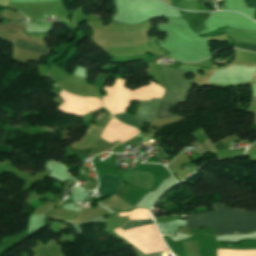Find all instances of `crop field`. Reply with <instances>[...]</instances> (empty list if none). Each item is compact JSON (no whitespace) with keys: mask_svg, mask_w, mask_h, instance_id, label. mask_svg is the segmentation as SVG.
<instances>
[{"mask_svg":"<svg viewBox=\"0 0 256 256\" xmlns=\"http://www.w3.org/2000/svg\"><path fill=\"white\" fill-rule=\"evenodd\" d=\"M214 208L216 211L213 212H198L187 215V225L189 229L223 226L252 214V212L226 208L220 204H215Z\"/></svg>","mask_w":256,"mask_h":256,"instance_id":"1","label":"crop field"},{"mask_svg":"<svg viewBox=\"0 0 256 256\" xmlns=\"http://www.w3.org/2000/svg\"><path fill=\"white\" fill-rule=\"evenodd\" d=\"M167 77L168 89L163 101L184 102L191 85V80H185L184 75L189 73L176 69H166L163 67Z\"/></svg>","mask_w":256,"mask_h":256,"instance_id":"2","label":"crop field"},{"mask_svg":"<svg viewBox=\"0 0 256 256\" xmlns=\"http://www.w3.org/2000/svg\"><path fill=\"white\" fill-rule=\"evenodd\" d=\"M256 231V213L223 227L215 228V235L250 234Z\"/></svg>","mask_w":256,"mask_h":256,"instance_id":"3","label":"crop field"},{"mask_svg":"<svg viewBox=\"0 0 256 256\" xmlns=\"http://www.w3.org/2000/svg\"><path fill=\"white\" fill-rule=\"evenodd\" d=\"M159 99H153L152 101L140 102V106L136 111V116H134L139 123L142 125L144 121H152L159 105Z\"/></svg>","mask_w":256,"mask_h":256,"instance_id":"4","label":"crop field"},{"mask_svg":"<svg viewBox=\"0 0 256 256\" xmlns=\"http://www.w3.org/2000/svg\"><path fill=\"white\" fill-rule=\"evenodd\" d=\"M162 234L174 235L175 231L181 226L186 225V220L184 221H168L157 224Z\"/></svg>","mask_w":256,"mask_h":256,"instance_id":"5","label":"crop field"},{"mask_svg":"<svg viewBox=\"0 0 256 256\" xmlns=\"http://www.w3.org/2000/svg\"><path fill=\"white\" fill-rule=\"evenodd\" d=\"M116 119L120 120L121 122L130 125L132 127L139 128V125L135 121L134 117L128 116L127 113H122V114H116L113 115Z\"/></svg>","mask_w":256,"mask_h":256,"instance_id":"6","label":"crop field"},{"mask_svg":"<svg viewBox=\"0 0 256 256\" xmlns=\"http://www.w3.org/2000/svg\"><path fill=\"white\" fill-rule=\"evenodd\" d=\"M175 105L176 104H171V103H161L156 117L163 118V117H167V116H173L169 112V109L175 107Z\"/></svg>","mask_w":256,"mask_h":256,"instance_id":"7","label":"crop field"},{"mask_svg":"<svg viewBox=\"0 0 256 256\" xmlns=\"http://www.w3.org/2000/svg\"><path fill=\"white\" fill-rule=\"evenodd\" d=\"M14 45H16V46H18V47L25 48V49L33 50V51H39V52H45V53L48 52V49H47V48L34 46V45H31V44H27V43H24V42H20V41H18V40L14 43Z\"/></svg>","mask_w":256,"mask_h":256,"instance_id":"8","label":"crop field"},{"mask_svg":"<svg viewBox=\"0 0 256 256\" xmlns=\"http://www.w3.org/2000/svg\"><path fill=\"white\" fill-rule=\"evenodd\" d=\"M152 223H154L153 220L131 221V222L123 225L120 228H122L123 230H126V229H131V228H135V227H138V226H141V225L152 224Z\"/></svg>","mask_w":256,"mask_h":256,"instance_id":"9","label":"crop field"},{"mask_svg":"<svg viewBox=\"0 0 256 256\" xmlns=\"http://www.w3.org/2000/svg\"><path fill=\"white\" fill-rule=\"evenodd\" d=\"M193 146V148H195L199 154L203 155L206 154L208 152V149L205 148L203 145H201L197 140L191 144Z\"/></svg>","mask_w":256,"mask_h":256,"instance_id":"10","label":"crop field"},{"mask_svg":"<svg viewBox=\"0 0 256 256\" xmlns=\"http://www.w3.org/2000/svg\"><path fill=\"white\" fill-rule=\"evenodd\" d=\"M235 47L242 48V49H247V50H251V51L256 52V44H244V43L235 42Z\"/></svg>","mask_w":256,"mask_h":256,"instance_id":"11","label":"crop field"},{"mask_svg":"<svg viewBox=\"0 0 256 256\" xmlns=\"http://www.w3.org/2000/svg\"><path fill=\"white\" fill-rule=\"evenodd\" d=\"M108 76L106 75H99L96 82H95V86L98 88L99 92H101V88L103 83L105 82V80L107 79Z\"/></svg>","mask_w":256,"mask_h":256,"instance_id":"12","label":"crop field"},{"mask_svg":"<svg viewBox=\"0 0 256 256\" xmlns=\"http://www.w3.org/2000/svg\"><path fill=\"white\" fill-rule=\"evenodd\" d=\"M247 7L256 8V0H248ZM254 20H256V11H255Z\"/></svg>","mask_w":256,"mask_h":256,"instance_id":"13","label":"crop field"},{"mask_svg":"<svg viewBox=\"0 0 256 256\" xmlns=\"http://www.w3.org/2000/svg\"><path fill=\"white\" fill-rule=\"evenodd\" d=\"M134 250L137 252L138 256H162L161 253H155V254H148V255H144L143 253H141L138 249H136L135 247H133Z\"/></svg>","mask_w":256,"mask_h":256,"instance_id":"14","label":"crop field"}]
</instances>
